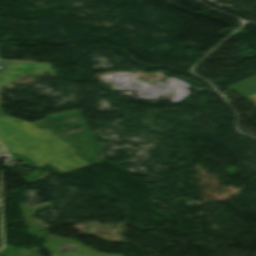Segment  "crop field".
I'll return each mask as SVG.
<instances>
[{"label":"crop field","mask_w":256,"mask_h":256,"mask_svg":"<svg viewBox=\"0 0 256 256\" xmlns=\"http://www.w3.org/2000/svg\"><path fill=\"white\" fill-rule=\"evenodd\" d=\"M247 99H249L252 103H254L256 105V95L248 97Z\"/></svg>","instance_id":"4"},{"label":"crop field","mask_w":256,"mask_h":256,"mask_svg":"<svg viewBox=\"0 0 256 256\" xmlns=\"http://www.w3.org/2000/svg\"><path fill=\"white\" fill-rule=\"evenodd\" d=\"M237 93L247 97L256 94V76L229 87Z\"/></svg>","instance_id":"3"},{"label":"crop field","mask_w":256,"mask_h":256,"mask_svg":"<svg viewBox=\"0 0 256 256\" xmlns=\"http://www.w3.org/2000/svg\"><path fill=\"white\" fill-rule=\"evenodd\" d=\"M64 242H70L74 244L81 245L75 241L46 235L43 247L51 253V256H123V255H113V254H100L88 247H85L83 245L81 249V254H70V253H58L59 246L62 245Z\"/></svg>","instance_id":"2"},{"label":"crop field","mask_w":256,"mask_h":256,"mask_svg":"<svg viewBox=\"0 0 256 256\" xmlns=\"http://www.w3.org/2000/svg\"><path fill=\"white\" fill-rule=\"evenodd\" d=\"M6 61L0 59V76ZM0 143L9 153L21 155L39 167L47 163L61 173L89 166L57 137L30 123L5 115L1 108ZM1 148L0 153L4 152Z\"/></svg>","instance_id":"1"}]
</instances>
